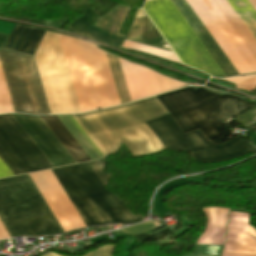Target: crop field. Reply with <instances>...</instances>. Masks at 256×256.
I'll use <instances>...</instances> for the list:
<instances>
[{
	"mask_svg": "<svg viewBox=\"0 0 256 256\" xmlns=\"http://www.w3.org/2000/svg\"><path fill=\"white\" fill-rule=\"evenodd\" d=\"M167 114L155 97L125 106L72 115L104 156L123 143L132 156L154 153L164 147L144 124Z\"/></svg>",
	"mask_w": 256,
	"mask_h": 256,
	"instance_id": "8a807250",
	"label": "crop field"
},
{
	"mask_svg": "<svg viewBox=\"0 0 256 256\" xmlns=\"http://www.w3.org/2000/svg\"><path fill=\"white\" fill-rule=\"evenodd\" d=\"M157 97L183 133L199 128L207 140L216 137L229 121L255 106L237 97L220 96L202 87L195 91L192 87H186Z\"/></svg>",
	"mask_w": 256,
	"mask_h": 256,
	"instance_id": "ac0d7876",
	"label": "crop field"
},
{
	"mask_svg": "<svg viewBox=\"0 0 256 256\" xmlns=\"http://www.w3.org/2000/svg\"><path fill=\"white\" fill-rule=\"evenodd\" d=\"M0 221L10 237L64 233L29 174L0 179Z\"/></svg>",
	"mask_w": 256,
	"mask_h": 256,
	"instance_id": "34b2d1b8",
	"label": "crop field"
},
{
	"mask_svg": "<svg viewBox=\"0 0 256 256\" xmlns=\"http://www.w3.org/2000/svg\"><path fill=\"white\" fill-rule=\"evenodd\" d=\"M59 38L81 111L120 104L104 52L71 37Z\"/></svg>",
	"mask_w": 256,
	"mask_h": 256,
	"instance_id": "412701ff",
	"label": "crop field"
},
{
	"mask_svg": "<svg viewBox=\"0 0 256 256\" xmlns=\"http://www.w3.org/2000/svg\"><path fill=\"white\" fill-rule=\"evenodd\" d=\"M52 172L86 227L141 220L102 187L88 163L53 169Z\"/></svg>",
	"mask_w": 256,
	"mask_h": 256,
	"instance_id": "f4fd0767",
	"label": "crop field"
},
{
	"mask_svg": "<svg viewBox=\"0 0 256 256\" xmlns=\"http://www.w3.org/2000/svg\"><path fill=\"white\" fill-rule=\"evenodd\" d=\"M143 9L182 63L213 76H225L171 0L149 1Z\"/></svg>",
	"mask_w": 256,
	"mask_h": 256,
	"instance_id": "dd49c442",
	"label": "crop field"
},
{
	"mask_svg": "<svg viewBox=\"0 0 256 256\" xmlns=\"http://www.w3.org/2000/svg\"><path fill=\"white\" fill-rule=\"evenodd\" d=\"M0 64L16 112L48 115L32 57L0 50ZM0 67V114L15 112Z\"/></svg>",
	"mask_w": 256,
	"mask_h": 256,
	"instance_id": "e52e79f7",
	"label": "crop field"
},
{
	"mask_svg": "<svg viewBox=\"0 0 256 256\" xmlns=\"http://www.w3.org/2000/svg\"><path fill=\"white\" fill-rule=\"evenodd\" d=\"M34 58L51 113H81L58 35L46 31Z\"/></svg>",
	"mask_w": 256,
	"mask_h": 256,
	"instance_id": "d8731c3e",
	"label": "crop field"
},
{
	"mask_svg": "<svg viewBox=\"0 0 256 256\" xmlns=\"http://www.w3.org/2000/svg\"><path fill=\"white\" fill-rule=\"evenodd\" d=\"M145 124L153 131L166 150L193 152L215 148L192 153L198 161L220 162L240 157L249 152H255L244 139L239 137H235L219 146L213 144L210 140L207 141L199 129L183 134L170 114Z\"/></svg>",
	"mask_w": 256,
	"mask_h": 256,
	"instance_id": "5a996713",
	"label": "crop field"
},
{
	"mask_svg": "<svg viewBox=\"0 0 256 256\" xmlns=\"http://www.w3.org/2000/svg\"><path fill=\"white\" fill-rule=\"evenodd\" d=\"M0 157L15 175L52 168L11 114L0 115ZM0 158V178L14 176Z\"/></svg>",
	"mask_w": 256,
	"mask_h": 256,
	"instance_id": "3316defc",
	"label": "crop field"
},
{
	"mask_svg": "<svg viewBox=\"0 0 256 256\" xmlns=\"http://www.w3.org/2000/svg\"><path fill=\"white\" fill-rule=\"evenodd\" d=\"M207 224L197 244L222 245L229 209H203ZM249 215L231 212L224 250L226 252L256 253V230L248 224ZM251 234L252 236L248 235Z\"/></svg>",
	"mask_w": 256,
	"mask_h": 256,
	"instance_id": "28ad6ade",
	"label": "crop field"
},
{
	"mask_svg": "<svg viewBox=\"0 0 256 256\" xmlns=\"http://www.w3.org/2000/svg\"><path fill=\"white\" fill-rule=\"evenodd\" d=\"M30 176L65 232L85 227L51 170L31 173Z\"/></svg>",
	"mask_w": 256,
	"mask_h": 256,
	"instance_id": "d1516ede",
	"label": "crop field"
},
{
	"mask_svg": "<svg viewBox=\"0 0 256 256\" xmlns=\"http://www.w3.org/2000/svg\"><path fill=\"white\" fill-rule=\"evenodd\" d=\"M12 115L54 167L76 163L40 117Z\"/></svg>",
	"mask_w": 256,
	"mask_h": 256,
	"instance_id": "22f410ed",
	"label": "crop field"
},
{
	"mask_svg": "<svg viewBox=\"0 0 256 256\" xmlns=\"http://www.w3.org/2000/svg\"><path fill=\"white\" fill-rule=\"evenodd\" d=\"M191 8L194 10V12L197 14L199 19L202 21L204 26L207 28V30L210 32L212 37L215 39V41L218 43L220 48L223 50V52L226 54L228 59L231 61L233 66L236 68V70L239 72V74L243 73H250L252 70L249 68V66L246 64L244 59L241 57V55L238 53L236 48L233 46V44L230 42L228 37L225 35V33L222 31V29L219 27L217 22L214 20V18L211 16L209 11L206 9V7L203 5L201 0H186Z\"/></svg>",
	"mask_w": 256,
	"mask_h": 256,
	"instance_id": "cbeb9de0",
	"label": "crop field"
},
{
	"mask_svg": "<svg viewBox=\"0 0 256 256\" xmlns=\"http://www.w3.org/2000/svg\"><path fill=\"white\" fill-rule=\"evenodd\" d=\"M172 1L176 5L178 10L181 12V14L184 16L186 21L189 23L191 28L194 30V32L197 34L199 39L205 45L207 50L213 56V58L218 63L220 68L226 74V76L238 74V72L232 66V64L224 55L222 50L219 48L217 43L214 41V39L211 37L209 32L206 30V28L203 26L201 21L198 19V17L195 15L193 10L190 8L188 3L185 0H172Z\"/></svg>",
	"mask_w": 256,
	"mask_h": 256,
	"instance_id": "5142ce71",
	"label": "crop field"
},
{
	"mask_svg": "<svg viewBox=\"0 0 256 256\" xmlns=\"http://www.w3.org/2000/svg\"><path fill=\"white\" fill-rule=\"evenodd\" d=\"M119 62L132 101L160 93L153 71L121 59Z\"/></svg>",
	"mask_w": 256,
	"mask_h": 256,
	"instance_id": "d9b57169",
	"label": "crop field"
},
{
	"mask_svg": "<svg viewBox=\"0 0 256 256\" xmlns=\"http://www.w3.org/2000/svg\"><path fill=\"white\" fill-rule=\"evenodd\" d=\"M130 7L115 6L106 15L82 33L97 41L121 45L125 36L117 34Z\"/></svg>",
	"mask_w": 256,
	"mask_h": 256,
	"instance_id": "733c2abd",
	"label": "crop field"
},
{
	"mask_svg": "<svg viewBox=\"0 0 256 256\" xmlns=\"http://www.w3.org/2000/svg\"><path fill=\"white\" fill-rule=\"evenodd\" d=\"M126 40L172 51L146 14L140 9L137 11L134 23Z\"/></svg>",
	"mask_w": 256,
	"mask_h": 256,
	"instance_id": "4a817a6b",
	"label": "crop field"
},
{
	"mask_svg": "<svg viewBox=\"0 0 256 256\" xmlns=\"http://www.w3.org/2000/svg\"><path fill=\"white\" fill-rule=\"evenodd\" d=\"M43 30L16 25L12 31L4 49L18 51L32 55L42 34Z\"/></svg>",
	"mask_w": 256,
	"mask_h": 256,
	"instance_id": "bc2a9ffb",
	"label": "crop field"
},
{
	"mask_svg": "<svg viewBox=\"0 0 256 256\" xmlns=\"http://www.w3.org/2000/svg\"><path fill=\"white\" fill-rule=\"evenodd\" d=\"M202 2L207 7V9L210 11L212 16L218 22V24L223 29V31L226 33V35L229 37L231 42L237 48V50L242 55V57L245 59V61L250 66V68L253 70V72H256V60L254 59L252 54L249 52V50L246 48V46L241 41V39L238 37V35L235 33V31L230 26V24L227 22V20L224 18V16L219 11V9L216 7L214 2L212 0H202Z\"/></svg>",
	"mask_w": 256,
	"mask_h": 256,
	"instance_id": "214f88e0",
	"label": "crop field"
},
{
	"mask_svg": "<svg viewBox=\"0 0 256 256\" xmlns=\"http://www.w3.org/2000/svg\"><path fill=\"white\" fill-rule=\"evenodd\" d=\"M46 125L51 129L67 151L72 155L77 163L89 161V157L79 147L75 140L70 136L66 129L56 119L55 116L41 117Z\"/></svg>",
	"mask_w": 256,
	"mask_h": 256,
	"instance_id": "92a150f3",
	"label": "crop field"
},
{
	"mask_svg": "<svg viewBox=\"0 0 256 256\" xmlns=\"http://www.w3.org/2000/svg\"><path fill=\"white\" fill-rule=\"evenodd\" d=\"M91 160L105 158L71 115L56 116Z\"/></svg>",
	"mask_w": 256,
	"mask_h": 256,
	"instance_id": "dafd665d",
	"label": "crop field"
},
{
	"mask_svg": "<svg viewBox=\"0 0 256 256\" xmlns=\"http://www.w3.org/2000/svg\"><path fill=\"white\" fill-rule=\"evenodd\" d=\"M213 1L215 2L217 7L220 9V11L223 13L225 18L228 20V22L231 24V26L234 28L236 33L239 35V37L242 39V41L245 43L247 48L250 50V52L253 54V56L256 59V41L253 39L251 34L245 28V26L240 21L238 16L235 14L233 9L230 7L228 2L226 0H213Z\"/></svg>",
	"mask_w": 256,
	"mask_h": 256,
	"instance_id": "00972430",
	"label": "crop field"
},
{
	"mask_svg": "<svg viewBox=\"0 0 256 256\" xmlns=\"http://www.w3.org/2000/svg\"><path fill=\"white\" fill-rule=\"evenodd\" d=\"M256 40V11L248 0H227Z\"/></svg>",
	"mask_w": 256,
	"mask_h": 256,
	"instance_id": "a9b5d70f",
	"label": "crop field"
},
{
	"mask_svg": "<svg viewBox=\"0 0 256 256\" xmlns=\"http://www.w3.org/2000/svg\"><path fill=\"white\" fill-rule=\"evenodd\" d=\"M106 54V53H105ZM107 61L111 70V74L115 83V87L119 96L120 103L130 102L127 87L120 69L118 59L110 54H106Z\"/></svg>",
	"mask_w": 256,
	"mask_h": 256,
	"instance_id": "4177f3b9",
	"label": "crop field"
},
{
	"mask_svg": "<svg viewBox=\"0 0 256 256\" xmlns=\"http://www.w3.org/2000/svg\"><path fill=\"white\" fill-rule=\"evenodd\" d=\"M100 18L95 10L86 8L84 14L71 23L70 28L76 32L81 34L84 30H86L89 25L96 19Z\"/></svg>",
	"mask_w": 256,
	"mask_h": 256,
	"instance_id": "730fd06b",
	"label": "crop field"
},
{
	"mask_svg": "<svg viewBox=\"0 0 256 256\" xmlns=\"http://www.w3.org/2000/svg\"><path fill=\"white\" fill-rule=\"evenodd\" d=\"M225 81L235 84L239 89L254 91L256 90V75L244 76V77H235L224 79Z\"/></svg>",
	"mask_w": 256,
	"mask_h": 256,
	"instance_id": "eef30255",
	"label": "crop field"
},
{
	"mask_svg": "<svg viewBox=\"0 0 256 256\" xmlns=\"http://www.w3.org/2000/svg\"><path fill=\"white\" fill-rule=\"evenodd\" d=\"M222 246L196 245L194 254L188 256H221Z\"/></svg>",
	"mask_w": 256,
	"mask_h": 256,
	"instance_id": "ae1a2a85",
	"label": "crop field"
},
{
	"mask_svg": "<svg viewBox=\"0 0 256 256\" xmlns=\"http://www.w3.org/2000/svg\"><path fill=\"white\" fill-rule=\"evenodd\" d=\"M106 163L107 162L105 161H96L90 163L91 167L93 168L103 187L106 186V184L112 176L111 173L104 172Z\"/></svg>",
	"mask_w": 256,
	"mask_h": 256,
	"instance_id": "d3111659",
	"label": "crop field"
},
{
	"mask_svg": "<svg viewBox=\"0 0 256 256\" xmlns=\"http://www.w3.org/2000/svg\"><path fill=\"white\" fill-rule=\"evenodd\" d=\"M155 76H156V79H157V82H158V86H159V89H160V92H166V91H169V90H172V89H176V88H179V87H182V86H186L185 84H181V83H178L176 81H173L171 79H168L166 77H163L159 74H156L155 73Z\"/></svg>",
	"mask_w": 256,
	"mask_h": 256,
	"instance_id": "750c4746",
	"label": "crop field"
},
{
	"mask_svg": "<svg viewBox=\"0 0 256 256\" xmlns=\"http://www.w3.org/2000/svg\"><path fill=\"white\" fill-rule=\"evenodd\" d=\"M156 226H158L157 223H156ZM152 228H155V222L150 221V222L138 224L135 226H131L128 228H124L121 230L128 234H138V233H143V232L149 231Z\"/></svg>",
	"mask_w": 256,
	"mask_h": 256,
	"instance_id": "bd1437ed",
	"label": "crop field"
},
{
	"mask_svg": "<svg viewBox=\"0 0 256 256\" xmlns=\"http://www.w3.org/2000/svg\"><path fill=\"white\" fill-rule=\"evenodd\" d=\"M122 47L136 49V50H139V51H142V52H145V53L157 56V57L165 58V59L172 60V61L180 63V61L175 56L159 53V52H156V51L144 49V48H141V47H137V46H133V45L125 44V43L123 44Z\"/></svg>",
	"mask_w": 256,
	"mask_h": 256,
	"instance_id": "1d83c4d3",
	"label": "crop field"
},
{
	"mask_svg": "<svg viewBox=\"0 0 256 256\" xmlns=\"http://www.w3.org/2000/svg\"><path fill=\"white\" fill-rule=\"evenodd\" d=\"M168 232H170V228H167L165 230L159 231V232L154 233L152 235L142 234V235H136L135 237L138 239L139 242L150 241V240H156V239L164 236Z\"/></svg>",
	"mask_w": 256,
	"mask_h": 256,
	"instance_id": "120bbe31",
	"label": "crop field"
},
{
	"mask_svg": "<svg viewBox=\"0 0 256 256\" xmlns=\"http://www.w3.org/2000/svg\"><path fill=\"white\" fill-rule=\"evenodd\" d=\"M114 247H104L96 252L91 253L88 256H111ZM43 256H54L51 254H45Z\"/></svg>",
	"mask_w": 256,
	"mask_h": 256,
	"instance_id": "d32e631a",
	"label": "crop field"
},
{
	"mask_svg": "<svg viewBox=\"0 0 256 256\" xmlns=\"http://www.w3.org/2000/svg\"><path fill=\"white\" fill-rule=\"evenodd\" d=\"M70 19H71V18L52 20L50 26L61 28V27H62L65 23H67Z\"/></svg>",
	"mask_w": 256,
	"mask_h": 256,
	"instance_id": "5866460e",
	"label": "crop field"
},
{
	"mask_svg": "<svg viewBox=\"0 0 256 256\" xmlns=\"http://www.w3.org/2000/svg\"><path fill=\"white\" fill-rule=\"evenodd\" d=\"M124 42H125V43H129V44H133V45H137V46H141V47H144V48H148V49L156 50V51H159V52H163V53H167V54L175 55V54H174V53H172V52H168V51L160 50V49H157V48H153V47H149V46L141 45V44H138V43H134V42L126 41V40H125Z\"/></svg>",
	"mask_w": 256,
	"mask_h": 256,
	"instance_id": "028f5c9d",
	"label": "crop field"
},
{
	"mask_svg": "<svg viewBox=\"0 0 256 256\" xmlns=\"http://www.w3.org/2000/svg\"><path fill=\"white\" fill-rule=\"evenodd\" d=\"M8 237H9V235L7 234V232L4 229V227L2 226V224L0 223V239L8 238Z\"/></svg>",
	"mask_w": 256,
	"mask_h": 256,
	"instance_id": "e1f06a70",
	"label": "crop field"
},
{
	"mask_svg": "<svg viewBox=\"0 0 256 256\" xmlns=\"http://www.w3.org/2000/svg\"><path fill=\"white\" fill-rule=\"evenodd\" d=\"M222 256H256V255H253V254H240V253H226V252H223V255Z\"/></svg>",
	"mask_w": 256,
	"mask_h": 256,
	"instance_id": "0bd39190",
	"label": "crop field"
},
{
	"mask_svg": "<svg viewBox=\"0 0 256 256\" xmlns=\"http://www.w3.org/2000/svg\"><path fill=\"white\" fill-rule=\"evenodd\" d=\"M6 38H7V35L0 34V48L3 46Z\"/></svg>",
	"mask_w": 256,
	"mask_h": 256,
	"instance_id": "b80d0937",
	"label": "crop field"
},
{
	"mask_svg": "<svg viewBox=\"0 0 256 256\" xmlns=\"http://www.w3.org/2000/svg\"><path fill=\"white\" fill-rule=\"evenodd\" d=\"M251 2V4L253 5V7L256 9V0H249ZM254 9V10H255Z\"/></svg>",
	"mask_w": 256,
	"mask_h": 256,
	"instance_id": "c035e120",
	"label": "crop field"
}]
</instances>
